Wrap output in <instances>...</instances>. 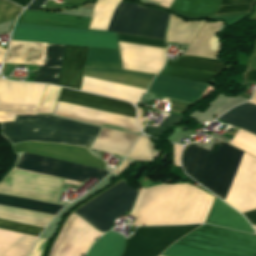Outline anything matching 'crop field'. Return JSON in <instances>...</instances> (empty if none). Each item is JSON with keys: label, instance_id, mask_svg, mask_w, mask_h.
<instances>
[{"label": "crop field", "instance_id": "obj_1", "mask_svg": "<svg viewBox=\"0 0 256 256\" xmlns=\"http://www.w3.org/2000/svg\"><path fill=\"white\" fill-rule=\"evenodd\" d=\"M242 153L225 143L214 144L211 152L190 145L182 165L188 175L223 200ZM224 201L241 212L256 208V158L243 153Z\"/></svg>", "mask_w": 256, "mask_h": 256}, {"label": "crop field", "instance_id": "obj_2", "mask_svg": "<svg viewBox=\"0 0 256 256\" xmlns=\"http://www.w3.org/2000/svg\"><path fill=\"white\" fill-rule=\"evenodd\" d=\"M11 39L119 49L109 31L15 24ZM11 40L5 63L38 65L43 43ZM44 43L34 82L58 83L65 45Z\"/></svg>", "mask_w": 256, "mask_h": 256}, {"label": "crop field", "instance_id": "obj_3", "mask_svg": "<svg viewBox=\"0 0 256 256\" xmlns=\"http://www.w3.org/2000/svg\"><path fill=\"white\" fill-rule=\"evenodd\" d=\"M15 168L79 181L86 184L90 183L95 178L99 179L97 181L99 182L108 174V172L101 169L27 153L23 154ZM17 169H13L0 182V194L37 199L58 204V194L61 190L64 179ZM68 180L65 182L82 187L86 186V184ZM89 189H87L86 192Z\"/></svg>", "mask_w": 256, "mask_h": 256}, {"label": "crop field", "instance_id": "obj_4", "mask_svg": "<svg viewBox=\"0 0 256 256\" xmlns=\"http://www.w3.org/2000/svg\"><path fill=\"white\" fill-rule=\"evenodd\" d=\"M214 197L187 184L154 186L142 191L130 215L132 225L204 223Z\"/></svg>", "mask_w": 256, "mask_h": 256}, {"label": "crop field", "instance_id": "obj_5", "mask_svg": "<svg viewBox=\"0 0 256 256\" xmlns=\"http://www.w3.org/2000/svg\"><path fill=\"white\" fill-rule=\"evenodd\" d=\"M86 60L121 64L119 50H114V49H103V48L89 47ZM90 61H86L85 65L122 69L121 65L90 62ZM89 66H85L84 70L125 74V75H133V76H141V77H149V78H154V76H155L153 74L139 73V72H133V71H126V70H118V69L89 67ZM88 71H84L83 76L98 79V80L118 83V84H122V85H127L130 87L142 90L144 92H146V90L152 80V79H148V78L107 74V73L88 72ZM86 77H83V79H82V84H81V88H80V90H82V91L95 93V94H99V95H103V96H107V97H112V98H116V99H120V100H125V101L131 102L133 104H137L141 95L143 94L142 91H139L137 89H133V88H130L127 86L98 81V80L89 79Z\"/></svg>", "mask_w": 256, "mask_h": 256}, {"label": "crop field", "instance_id": "obj_6", "mask_svg": "<svg viewBox=\"0 0 256 256\" xmlns=\"http://www.w3.org/2000/svg\"><path fill=\"white\" fill-rule=\"evenodd\" d=\"M99 128L49 116H16L3 123L2 135L11 143L35 140L89 148Z\"/></svg>", "mask_w": 256, "mask_h": 256}, {"label": "crop field", "instance_id": "obj_7", "mask_svg": "<svg viewBox=\"0 0 256 256\" xmlns=\"http://www.w3.org/2000/svg\"><path fill=\"white\" fill-rule=\"evenodd\" d=\"M177 244L231 256H256V235H249L211 225H203L180 239ZM173 244L162 256H226Z\"/></svg>", "mask_w": 256, "mask_h": 256}, {"label": "crop field", "instance_id": "obj_8", "mask_svg": "<svg viewBox=\"0 0 256 256\" xmlns=\"http://www.w3.org/2000/svg\"><path fill=\"white\" fill-rule=\"evenodd\" d=\"M0 202L57 213L64 206L37 202L29 199L0 195ZM0 203V218L46 227L54 213ZM0 219V229L38 236L44 229L33 225Z\"/></svg>", "mask_w": 256, "mask_h": 256}, {"label": "crop field", "instance_id": "obj_9", "mask_svg": "<svg viewBox=\"0 0 256 256\" xmlns=\"http://www.w3.org/2000/svg\"><path fill=\"white\" fill-rule=\"evenodd\" d=\"M169 13L137 4L120 2L109 23V31L164 39Z\"/></svg>", "mask_w": 256, "mask_h": 256}, {"label": "crop field", "instance_id": "obj_10", "mask_svg": "<svg viewBox=\"0 0 256 256\" xmlns=\"http://www.w3.org/2000/svg\"><path fill=\"white\" fill-rule=\"evenodd\" d=\"M136 196L137 193L122 181L75 212L99 231L106 232L115 219L131 209Z\"/></svg>", "mask_w": 256, "mask_h": 256}, {"label": "crop field", "instance_id": "obj_11", "mask_svg": "<svg viewBox=\"0 0 256 256\" xmlns=\"http://www.w3.org/2000/svg\"><path fill=\"white\" fill-rule=\"evenodd\" d=\"M118 35V41L164 48V41L136 36ZM119 42L122 67L126 70L157 74L163 67L165 49Z\"/></svg>", "mask_w": 256, "mask_h": 256}, {"label": "crop field", "instance_id": "obj_12", "mask_svg": "<svg viewBox=\"0 0 256 256\" xmlns=\"http://www.w3.org/2000/svg\"><path fill=\"white\" fill-rule=\"evenodd\" d=\"M198 226L139 227L127 240L122 256H158L178 238Z\"/></svg>", "mask_w": 256, "mask_h": 256}, {"label": "crop field", "instance_id": "obj_13", "mask_svg": "<svg viewBox=\"0 0 256 256\" xmlns=\"http://www.w3.org/2000/svg\"><path fill=\"white\" fill-rule=\"evenodd\" d=\"M46 85L0 80V110L36 113ZM15 115L0 112V122L12 121Z\"/></svg>", "mask_w": 256, "mask_h": 256}, {"label": "crop field", "instance_id": "obj_14", "mask_svg": "<svg viewBox=\"0 0 256 256\" xmlns=\"http://www.w3.org/2000/svg\"><path fill=\"white\" fill-rule=\"evenodd\" d=\"M94 228L76 214H71L53 244L50 256H82L100 236Z\"/></svg>", "mask_w": 256, "mask_h": 256}, {"label": "crop field", "instance_id": "obj_15", "mask_svg": "<svg viewBox=\"0 0 256 256\" xmlns=\"http://www.w3.org/2000/svg\"><path fill=\"white\" fill-rule=\"evenodd\" d=\"M227 66L216 60L180 56L175 62L167 60L159 75L211 83Z\"/></svg>", "mask_w": 256, "mask_h": 256}, {"label": "crop field", "instance_id": "obj_16", "mask_svg": "<svg viewBox=\"0 0 256 256\" xmlns=\"http://www.w3.org/2000/svg\"><path fill=\"white\" fill-rule=\"evenodd\" d=\"M15 152H29L31 154L83 164L104 169L102 160L92 156L88 150L69 145H58L41 142H25L13 145Z\"/></svg>", "mask_w": 256, "mask_h": 256}, {"label": "crop field", "instance_id": "obj_17", "mask_svg": "<svg viewBox=\"0 0 256 256\" xmlns=\"http://www.w3.org/2000/svg\"><path fill=\"white\" fill-rule=\"evenodd\" d=\"M207 86L208 84L205 83L168 78L157 75L147 93L196 103L197 99L200 97Z\"/></svg>", "mask_w": 256, "mask_h": 256}, {"label": "crop field", "instance_id": "obj_18", "mask_svg": "<svg viewBox=\"0 0 256 256\" xmlns=\"http://www.w3.org/2000/svg\"><path fill=\"white\" fill-rule=\"evenodd\" d=\"M59 100L135 118L133 106L114 99L63 88Z\"/></svg>", "mask_w": 256, "mask_h": 256}, {"label": "crop field", "instance_id": "obj_19", "mask_svg": "<svg viewBox=\"0 0 256 256\" xmlns=\"http://www.w3.org/2000/svg\"><path fill=\"white\" fill-rule=\"evenodd\" d=\"M87 49L66 45L58 85L79 90Z\"/></svg>", "mask_w": 256, "mask_h": 256}, {"label": "crop field", "instance_id": "obj_20", "mask_svg": "<svg viewBox=\"0 0 256 256\" xmlns=\"http://www.w3.org/2000/svg\"><path fill=\"white\" fill-rule=\"evenodd\" d=\"M139 136L102 128L91 148L126 156Z\"/></svg>", "mask_w": 256, "mask_h": 256}, {"label": "crop field", "instance_id": "obj_21", "mask_svg": "<svg viewBox=\"0 0 256 256\" xmlns=\"http://www.w3.org/2000/svg\"><path fill=\"white\" fill-rule=\"evenodd\" d=\"M222 24V22L207 21L197 37L192 42L186 55L217 59L220 44L217 37L214 35Z\"/></svg>", "mask_w": 256, "mask_h": 256}, {"label": "crop field", "instance_id": "obj_22", "mask_svg": "<svg viewBox=\"0 0 256 256\" xmlns=\"http://www.w3.org/2000/svg\"><path fill=\"white\" fill-rule=\"evenodd\" d=\"M91 18L25 10L17 22L69 26L88 29Z\"/></svg>", "mask_w": 256, "mask_h": 256}, {"label": "crop field", "instance_id": "obj_23", "mask_svg": "<svg viewBox=\"0 0 256 256\" xmlns=\"http://www.w3.org/2000/svg\"><path fill=\"white\" fill-rule=\"evenodd\" d=\"M219 3L220 0H174L169 10L187 19H209Z\"/></svg>", "mask_w": 256, "mask_h": 256}, {"label": "crop field", "instance_id": "obj_24", "mask_svg": "<svg viewBox=\"0 0 256 256\" xmlns=\"http://www.w3.org/2000/svg\"><path fill=\"white\" fill-rule=\"evenodd\" d=\"M204 22H185L171 15L166 32V41L190 44Z\"/></svg>", "mask_w": 256, "mask_h": 256}, {"label": "crop field", "instance_id": "obj_25", "mask_svg": "<svg viewBox=\"0 0 256 256\" xmlns=\"http://www.w3.org/2000/svg\"><path fill=\"white\" fill-rule=\"evenodd\" d=\"M219 120L231 123L256 135L255 104L249 102L244 103L223 115Z\"/></svg>", "mask_w": 256, "mask_h": 256}, {"label": "crop field", "instance_id": "obj_26", "mask_svg": "<svg viewBox=\"0 0 256 256\" xmlns=\"http://www.w3.org/2000/svg\"><path fill=\"white\" fill-rule=\"evenodd\" d=\"M123 247L124 237L109 231L93 244L86 256H120Z\"/></svg>", "mask_w": 256, "mask_h": 256}, {"label": "crop field", "instance_id": "obj_27", "mask_svg": "<svg viewBox=\"0 0 256 256\" xmlns=\"http://www.w3.org/2000/svg\"><path fill=\"white\" fill-rule=\"evenodd\" d=\"M120 0H98L89 29L106 30L110 18Z\"/></svg>", "mask_w": 256, "mask_h": 256}, {"label": "crop field", "instance_id": "obj_28", "mask_svg": "<svg viewBox=\"0 0 256 256\" xmlns=\"http://www.w3.org/2000/svg\"><path fill=\"white\" fill-rule=\"evenodd\" d=\"M153 146L147 138L141 137L136 142L128 158L132 160H152L156 157Z\"/></svg>", "mask_w": 256, "mask_h": 256}, {"label": "crop field", "instance_id": "obj_29", "mask_svg": "<svg viewBox=\"0 0 256 256\" xmlns=\"http://www.w3.org/2000/svg\"><path fill=\"white\" fill-rule=\"evenodd\" d=\"M256 157V136L241 129L229 143Z\"/></svg>", "mask_w": 256, "mask_h": 256}, {"label": "crop field", "instance_id": "obj_30", "mask_svg": "<svg viewBox=\"0 0 256 256\" xmlns=\"http://www.w3.org/2000/svg\"><path fill=\"white\" fill-rule=\"evenodd\" d=\"M60 87L47 85L37 113H52L58 98Z\"/></svg>", "mask_w": 256, "mask_h": 256}, {"label": "crop field", "instance_id": "obj_31", "mask_svg": "<svg viewBox=\"0 0 256 256\" xmlns=\"http://www.w3.org/2000/svg\"><path fill=\"white\" fill-rule=\"evenodd\" d=\"M22 10L5 0H0V23L16 18Z\"/></svg>", "mask_w": 256, "mask_h": 256}, {"label": "crop field", "instance_id": "obj_32", "mask_svg": "<svg viewBox=\"0 0 256 256\" xmlns=\"http://www.w3.org/2000/svg\"><path fill=\"white\" fill-rule=\"evenodd\" d=\"M251 5H233V6H224L220 7L217 13L225 12H238V11H250Z\"/></svg>", "mask_w": 256, "mask_h": 256}, {"label": "crop field", "instance_id": "obj_33", "mask_svg": "<svg viewBox=\"0 0 256 256\" xmlns=\"http://www.w3.org/2000/svg\"><path fill=\"white\" fill-rule=\"evenodd\" d=\"M181 119V116L169 115L159 125L160 127H170Z\"/></svg>", "mask_w": 256, "mask_h": 256}, {"label": "crop field", "instance_id": "obj_34", "mask_svg": "<svg viewBox=\"0 0 256 256\" xmlns=\"http://www.w3.org/2000/svg\"><path fill=\"white\" fill-rule=\"evenodd\" d=\"M45 239H41L39 238L35 244V246L33 247L31 253L29 254V256H40L44 243H45Z\"/></svg>", "mask_w": 256, "mask_h": 256}, {"label": "crop field", "instance_id": "obj_35", "mask_svg": "<svg viewBox=\"0 0 256 256\" xmlns=\"http://www.w3.org/2000/svg\"><path fill=\"white\" fill-rule=\"evenodd\" d=\"M45 1L46 0H34L27 9L37 11Z\"/></svg>", "mask_w": 256, "mask_h": 256}, {"label": "crop field", "instance_id": "obj_36", "mask_svg": "<svg viewBox=\"0 0 256 256\" xmlns=\"http://www.w3.org/2000/svg\"><path fill=\"white\" fill-rule=\"evenodd\" d=\"M253 3V0H222V4H246Z\"/></svg>", "mask_w": 256, "mask_h": 256}, {"label": "crop field", "instance_id": "obj_37", "mask_svg": "<svg viewBox=\"0 0 256 256\" xmlns=\"http://www.w3.org/2000/svg\"><path fill=\"white\" fill-rule=\"evenodd\" d=\"M244 215L250 221L251 224L256 225V210L248 212V213H244Z\"/></svg>", "mask_w": 256, "mask_h": 256}, {"label": "crop field", "instance_id": "obj_38", "mask_svg": "<svg viewBox=\"0 0 256 256\" xmlns=\"http://www.w3.org/2000/svg\"><path fill=\"white\" fill-rule=\"evenodd\" d=\"M245 81H256V70H248L245 75Z\"/></svg>", "mask_w": 256, "mask_h": 256}, {"label": "crop field", "instance_id": "obj_39", "mask_svg": "<svg viewBox=\"0 0 256 256\" xmlns=\"http://www.w3.org/2000/svg\"><path fill=\"white\" fill-rule=\"evenodd\" d=\"M143 131L149 132V133H154V134H160L164 131V129H161V128H158V127L146 126Z\"/></svg>", "mask_w": 256, "mask_h": 256}, {"label": "crop field", "instance_id": "obj_40", "mask_svg": "<svg viewBox=\"0 0 256 256\" xmlns=\"http://www.w3.org/2000/svg\"><path fill=\"white\" fill-rule=\"evenodd\" d=\"M10 1H12V2H14V3H16V4H18V5L22 6V7H26L27 4H28L31 0H10Z\"/></svg>", "mask_w": 256, "mask_h": 256}, {"label": "crop field", "instance_id": "obj_41", "mask_svg": "<svg viewBox=\"0 0 256 256\" xmlns=\"http://www.w3.org/2000/svg\"><path fill=\"white\" fill-rule=\"evenodd\" d=\"M125 161V160H124ZM129 160H126L124 163H122L116 170L113 171V173L117 174L119 173L127 164Z\"/></svg>", "mask_w": 256, "mask_h": 256}, {"label": "crop field", "instance_id": "obj_42", "mask_svg": "<svg viewBox=\"0 0 256 256\" xmlns=\"http://www.w3.org/2000/svg\"><path fill=\"white\" fill-rule=\"evenodd\" d=\"M6 51L0 48V63H2Z\"/></svg>", "mask_w": 256, "mask_h": 256}, {"label": "crop field", "instance_id": "obj_43", "mask_svg": "<svg viewBox=\"0 0 256 256\" xmlns=\"http://www.w3.org/2000/svg\"><path fill=\"white\" fill-rule=\"evenodd\" d=\"M249 102H252V103H255V104H256V89H255V92H254L253 99L250 100Z\"/></svg>", "mask_w": 256, "mask_h": 256}, {"label": "crop field", "instance_id": "obj_44", "mask_svg": "<svg viewBox=\"0 0 256 256\" xmlns=\"http://www.w3.org/2000/svg\"><path fill=\"white\" fill-rule=\"evenodd\" d=\"M253 227L256 229V226L253 225Z\"/></svg>", "mask_w": 256, "mask_h": 256}]
</instances>
